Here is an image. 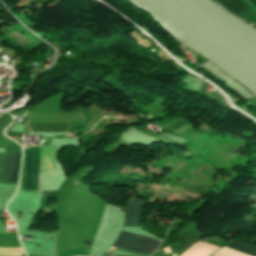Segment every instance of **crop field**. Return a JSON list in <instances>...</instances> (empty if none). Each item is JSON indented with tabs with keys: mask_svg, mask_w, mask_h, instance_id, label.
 <instances>
[{
	"mask_svg": "<svg viewBox=\"0 0 256 256\" xmlns=\"http://www.w3.org/2000/svg\"><path fill=\"white\" fill-rule=\"evenodd\" d=\"M29 149V147L25 148ZM40 146L30 147L25 150L24 173L22 179L23 191L38 190Z\"/></svg>",
	"mask_w": 256,
	"mask_h": 256,
	"instance_id": "obj_1",
	"label": "crop field"
},
{
	"mask_svg": "<svg viewBox=\"0 0 256 256\" xmlns=\"http://www.w3.org/2000/svg\"><path fill=\"white\" fill-rule=\"evenodd\" d=\"M159 244L155 239L121 231L112 246L152 255Z\"/></svg>",
	"mask_w": 256,
	"mask_h": 256,
	"instance_id": "obj_2",
	"label": "crop field"
},
{
	"mask_svg": "<svg viewBox=\"0 0 256 256\" xmlns=\"http://www.w3.org/2000/svg\"><path fill=\"white\" fill-rule=\"evenodd\" d=\"M19 154L20 153H15L14 167H13V174H12L14 153H5L0 182L9 183L11 174H12L10 183H15L16 176H17V170H18V164H19ZM3 155H4V153H0V173H1Z\"/></svg>",
	"mask_w": 256,
	"mask_h": 256,
	"instance_id": "obj_3",
	"label": "crop field"
},
{
	"mask_svg": "<svg viewBox=\"0 0 256 256\" xmlns=\"http://www.w3.org/2000/svg\"><path fill=\"white\" fill-rule=\"evenodd\" d=\"M144 202L132 198L127 205L123 226H138L139 215L142 211Z\"/></svg>",
	"mask_w": 256,
	"mask_h": 256,
	"instance_id": "obj_4",
	"label": "crop field"
},
{
	"mask_svg": "<svg viewBox=\"0 0 256 256\" xmlns=\"http://www.w3.org/2000/svg\"><path fill=\"white\" fill-rule=\"evenodd\" d=\"M32 132H62L69 131L70 123H28Z\"/></svg>",
	"mask_w": 256,
	"mask_h": 256,
	"instance_id": "obj_5",
	"label": "crop field"
},
{
	"mask_svg": "<svg viewBox=\"0 0 256 256\" xmlns=\"http://www.w3.org/2000/svg\"><path fill=\"white\" fill-rule=\"evenodd\" d=\"M219 1L239 16L244 14L248 10L252 9L241 0H219Z\"/></svg>",
	"mask_w": 256,
	"mask_h": 256,
	"instance_id": "obj_6",
	"label": "crop field"
},
{
	"mask_svg": "<svg viewBox=\"0 0 256 256\" xmlns=\"http://www.w3.org/2000/svg\"><path fill=\"white\" fill-rule=\"evenodd\" d=\"M225 248H228L230 250L239 252V253L247 255V256H256V246H252V245L234 241L233 243L226 246Z\"/></svg>",
	"mask_w": 256,
	"mask_h": 256,
	"instance_id": "obj_7",
	"label": "crop field"
}]
</instances>
